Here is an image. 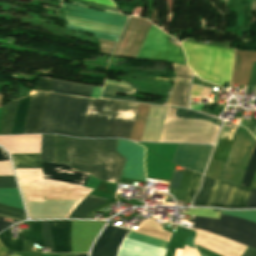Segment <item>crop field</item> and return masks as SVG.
Returning a JSON list of instances; mask_svg holds the SVG:
<instances>
[{
  "instance_id": "crop-field-38",
  "label": "crop field",
  "mask_w": 256,
  "mask_h": 256,
  "mask_svg": "<svg viewBox=\"0 0 256 256\" xmlns=\"http://www.w3.org/2000/svg\"><path fill=\"white\" fill-rule=\"evenodd\" d=\"M256 207V190L252 189L245 208Z\"/></svg>"
},
{
  "instance_id": "crop-field-42",
  "label": "crop field",
  "mask_w": 256,
  "mask_h": 256,
  "mask_svg": "<svg viewBox=\"0 0 256 256\" xmlns=\"http://www.w3.org/2000/svg\"><path fill=\"white\" fill-rule=\"evenodd\" d=\"M0 209L6 210V211H10V212H14V213H19V214H25L24 211L15 209L13 207H10V206L4 205V204H0Z\"/></svg>"
},
{
  "instance_id": "crop-field-21",
  "label": "crop field",
  "mask_w": 256,
  "mask_h": 256,
  "mask_svg": "<svg viewBox=\"0 0 256 256\" xmlns=\"http://www.w3.org/2000/svg\"><path fill=\"white\" fill-rule=\"evenodd\" d=\"M91 86L76 85L53 80L50 92L73 96L90 97Z\"/></svg>"
},
{
  "instance_id": "crop-field-34",
  "label": "crop field",
  "mask_w": 256,
  "mask_h": 256,
  "mask_svg": "<svg viewBox=\"0 0 256 256\" xmlns=\"http://www.w3.org/2000/svg\"><path fill=\"white\" fill-rule=\"evenodd\" d=\"M66 1L71 2V3H75V4H79V5H83V6H87V7H91V8H95V9L105 10V11L114 12V13L119 14L117 9L102 6V5H98V4H94V3H90V2H86V1H82V0H66Z\"/></svg>"
},
{
  "instance_id": "crop-field-45",
  "label": "crop field",
  "mask_w": 256,
  "mask_h": 256,
  "mask_svg": "<svg viewBox=\"0 0 256 256\" xmlns=\"http://www.w3.org/2000/svg\"><path fill=\"white\" fill-rule=\"evenodd\" d=\"M242 256H256V250L247 247L246 251L244 252V254Z\"/></svg>"
},
{
  "instance_id": "crop-field-56",
  "label": "crop field",
  "mask_w": 256,
  "mask_h": 256,
  "mask_svg": "<svg viewBox=\"0 0 256 256\" xmlns=\"http://www.w3.org/2000/svg\"><path fill=\"white\" fill-rule=\"evenodd\" d=\"M254 137H256V131H255V135H254Z\"/></svg>"
},
{
  "instance_id": "crop-field-9",
  "label": "crop field",
  "mask_w": 256,
  "mask_h": 256,
  "mask_svg": "<svg viewBox=\"0 0 256 256\" xmlns=\"http://www.w3.org/2000/svg\"><path fill=\"white\" fill-rule=\"evenodd\" d=\"M250 190L218 180L208 206L244 208Z\"/></svg>"
},
{
  "instance_id": "crop-field-55",
  "label": "crop field",
  "mask_w": 256,
  "mask_h": 256,
  "mask_svg": "<svg viewBox=\"0 0 256 256\" xmlns=\"http://www.w3.org/2000/svg\"><path fill=\"white\" fill-rule=\"evenodd\" d=\"M200 254V256H206V255H203V254H201V253H199Z\"/></svg>"
},
{
  "instance_id": "crop-field-19",
  "label": "crop field",
  "mask_w": 256,
  "mask_h": 256,
  "mask_svg": "<svg viewBox=\"0 0 256 256\" xmlns=\"http://www.w3.org/2000/svg\"><path fill=\"white\" fill-rule=\"evenodd\" d=\"M0 187H17L14 177L0 176ZM0 203L23 209L17 188H0Z\"/></svg>"
},
{
  "instance_id": "crop-field-22",
  "label": "crop field",
  "mask_w": 256,
  "mask_h": 256,
  "mask_svg": "<svg viewBox=\"0 0 256 256\" xmlns=\"http://www.w3.org/2000/svg\"><path fill=\"white\" fill-rule=\"evenodd\" d=\"M109 199L88 195L79 203L70 214L69 218H86L87 215Z\"/></svg>"
},
{
  "instance_id": "crop-field-11",
  "label": "crop field",
  "mask_w": 256,
  "mask_h": 256,
  "mask_svg": "<svg viewBox=\"0 0 256 256\" xmlns=\"http://www.w3.org/2000/svg\"><path fill=\"white\" fill-rule=\"evenodd\" d=\"M212 147L179 144L172 162L203 174Z\"/></svg>"
},
{
  "instance_id": "crop-field-5",
  "label": "crop field",
  "mask_w": 256,
  "mask_h": 256,
  "mask_svg": "<svg viewBox=\"0 0 256 256\" xmlns=\"http://www.w3.org/2000/svg\"><path fill=\"white\" fill-rule=\"evenodd\" d=\"M192 227L216 233L256 249V224L221 215L220 220L194 216Z\"/></svg>"
},
{
  "instance_id": "crop-field-39",
  "label": "crop field",
  "mask_w": 256,
  "mask_h": 256,
  "mask_svg": "<svg viewBox=\"0 0 256 256\" xmlns=\"http://www.w3.org/2000/svg\"><path fill=\"white\" fill-rule=\"evenodd\" d=\"M181 176H182L181 173H178V172L174 173L170 187L178 189Z\"/></svg>"
},
{
  "instance_id": "crop-field-3",
  "label": "crop field",
  "mask_w": 256,
  "mask_h": 256,
  "mask_svg": "<svg viewBox=\"0 0 256 256\" xmlns=\"http://www.w3.org/2000/svg\"><path fill=\"white\" fill-rule=\"evenodd\" d=\"M169 108L176 109V111L168 109L159 142L214 143L221 127L217 124H222L220 120L186 109ZM173 114L176 118L210 119L217 124L210 120L172 119Z\"/></svg>"
},
{
  "instance_id": "crop-field-35",
  "label": "crop field",
  "mask_w": 256,
  "mask_h": 256,
  "mask_svg": "<svg viewBox=\"0 0 256 256\" xmlns=\"http://www.w3.org/2000/svg\"><path fill=\"white\" fill-rule=\"evenodd\" d=\"M42 223H43V236H44L45 246L50 247L51 252H54L48 221H42Z\"/></svg>"
},
{
  "instance_id": "crop-field-13",
  "label": "crop field",
  "mask_w": 256,
  "mask_h": 256,
  "mask_svg": "<svg viewBox=\"0 0 256 256\" xmlns=\"http://www.w3.org/2000/svg\"><path fill=\"white\" fill-rule=\"evenodd\" d=\"M23 224H28V229H21L22 234H18V239L10 238L11 228L0 234L2 243L15 252L22 251L23 239L44 247L41 221L23 222Z\"/></svg>"
},
{
  "instance_id": "crop-field-44",
  "label": "crop field",
  "mask_w": 256,
  "mask_h": 256,
  "mask_svg": "<svg viewBox=\"0 0 256 256\" xmlns=\"http://www.w3.org/2000/svg\"><path fill=\"white\" fill-rule=\"evenodd\" d=\"M3 219H4V217H0V230H2L3 228H5L6 226H8V225H10V224H12V223L18 221V220L11 219V220H13V222H12V223H9V222L3 221ZM7 219H8V218H7Z\"/></svg>"
},
{
  "instance_id": "crop-field-1",
  "label": "crop field",
  "mask_w": 256,
  "mask_h": 256,
  "mask_svg": "<svg viewBox=\"0 0 256 256\" xmlns=\"http://www.w3.org/2000/svg\"><path fill=\"white\" fill-rule=\"evenodd\" d=\"M117 139H80L68 137L72 169L96 178L118 183L126 158L115 151Z\"/></svg>"
},
{
  "instance_id": "crop-field-12",
  "label": "crop field",
  "mask_w": 256,
  "mask_h": 256,
  "mask_svg": "<svg viewBox=\"0 0 256 256\" xmlns=\"http://www.w3.org/2000/svg\"><path fill=\"white\" fill-rule=\"evenodd\" d=\"M104 222L72 221V253L88 251L92 241L102 228Z\"/></svg>"
},
{
  "instance_id": "crop-field-28",
  "label": "crop field",
  "mask_w": 256,
  "mask_h": 256,
  "mask_svg": "<svg viewBox=\"0 0 256 256\" xmlns=\"http://www.w3.org/2000/svg\"><path fill=\"white\" fill-rule=\"evenodd\" d=\"M41 161L53 162V135H42Z\"/></svg>"
},
{
  "instance_id": "crop-field-37",
  "label": "crop field",
  "mask_w": 256,
  "mask_h": 256,
  "mask_svg": "<svg viewBox=\"0 0 256 256\" xmlns=\"http://www.w3.org/2000/svg\"><path fill=\"white\" fill-rule=\"evenodd\" d=\"M52 80L39 79L36 92L38 90L48 91L50 90Z\"/></svg>"
},
{
  "instance_id": "crop-field-2",
  "label": "crop field",
  "mask_w": 256,
  "mask_h": 256,
  "mask_svg": "<svg viewBox=\"0 0 256 256\" xmlns=\"http://www.w3.org/2000/svg\"><path fill=\"white\" fill-rule=\"evenodd\" d=\"M137 105L117 100L91 99L80 137L128 140Z\"/></svg>"
},
{
  "instance_id": "crop-field-52",
  "label": "crop field",
  "mask_w": 256,
  "mask_h": 256,
  "mask_svg": "<svg viewBox=\"0 0 256 256\" xmlns=\"http://www.w3.org/2000/svg\"><path fill=\"white\" fill-rule=\"evenodd\" d=\"M251 188H256V172H255V175H254V178H253V181L251 183Z\"/></svg>"
},
{
  "instance_id": "crop-field-47",
  "label": "crop field",
  "mask_w": 256,
  "mask_h": 256,
  "mask_svg": "<svg viewBox=\"0 0 256 256\" xmlns=\"http://www.w3.org/2000/svg\"><path fill=\"white\" fill-rule=\"evenodd\" d=\"M101 89H102V88L94 87L91 97L100 98Z\"/></svg>"
},
{
  "instance_id": "crop-field-4",
  "label": "crop field",
  "mask_w": 256,
  "mask_h": 256,
  "mask_svg": "<svg viewBox=\"0 0 256 256\" xmlns=\"http://www.w3.org/2000/svg\"><path fill=\"white\" fill-rule=\"evenodd\" d=\"M89 100L50 93L39 133L79 137Z\"/></svg>"
},
{
  "instance_id": "crop-field-48",
  "label": "crop field",
  "mask_w": 256,
  "mask_h": 256,
  "mask_svg": "<svg viewBox=\"0 0 256 256\" xmlns=\"http://www.w3.org/2000/svg\"><path fill=\"white\" fill-rule=\"evenodd\" d=\"M1 160H9L6 152L2 148H0V161Z\"/></svg>"
},
{
  "instance_id": "crop-field-23",
  "label": "crop field",
  "mask_w": 256,
  "mask_h": 256,
  "mask_svg": "<svg viewBox=\"0 0 256 256\" xmlns=\"http://www.w3.org/2000/svg\"><path fill=\"white\" fill-rule=\"evenodd\" d=\"M216 179L204 176L201 189L195 196L193 206H207L216 185Z\"/></svg>"
},
{
  "instance_id": "crop-field-15",
  "label": "crop field",
  "mask_w": 256,
  "mask_h": 256,
  "mask_svg": "<svg viewBox=\"0 0 256 256\" xmlns=\"http://www.w3.org/2000/svg\"><path fill=\"white\" fill-rule=\"evenodd\" d=\"M43 178L85 186L88 175L71 171L70 165L41 162Z\"/></svg>"
},
{
  "instance_id": "crop-field-10",
  "label": "crop field",
  "mask_w": 256,
  "mask_h": 256,
  "mask_svg": "<svg viewBox=\"0 0 256 256\" xmlns=\"http://www.w3.org/2000/svg\"><path fill=\"white\" fill-rule=\"evenodd\" d=\"M116 150L127 158L121 176L145 181L143 167L145 148L133 142L118 139Z\"/></svg>"
},
{
  "instance_id": "crop-field-24",
  "label": "crop field",
  "mask_w": 256,
  "mask_h": 256,
  "mask_svg": "<svg viewBox=\"0 0 256 256\" xmlns=\"http://www.w3.org/2000/svg\"><path fill=\"white\" fill-rule=\"evenodd\" d=\"M15 168H41L40 154L24 153L10 154Z\"/></svg>"
},
{
  "instance_id": "crop-field-14",
  "label": "crop field",
  "mask_w": 256,
  "mask_h": 256,
  "mask_svg": "<svg viewBox=\"0 0 256 256\" xmlns=\"http://www.w3.org/2000/svg\"><path fill=\"white\" fill-rule=\"evenodd\" d=\"M61 8L64 14H67V15L89 19L93 21H98V22H103L107 24L117 25L121 27L124 26L128 18L124 16L91 10L84 7L64 3V2H62Z\"/></svg>"
},
{
  "instance_id": "crop-field-50",
  "label": "crop field",
  "mask_w": 256,
  "mask_h": 256,
  "mask_svg": "<svg viewBox=\"0 0 256 256\" xmlns=\"http://www.w3.org/2000/svg\"><path fill=\"white\" fill-rule=\"evenodd\" d=\"M193 239L194 238H192V237H187V239H186V245H188V246H190V247H192V248H194V246H193ZM195 249V248H194Z\"/></svg>"
},
{
  "instance_id": "crop-field-18",
  "label": "crop field",
  "mask_w": 256,
  "mask_h": 256,
  "mask_svg": "<svg viewBox=\"0 0 256 256\" xmlns=\"http://www.w3.org/2000/svg\"><path fill=\"white\" fill-rule=\"evenodd\" d=\"M55 252H71V221H49Z\"/></svg>"
},
{
  "instance_id": "crop-field-46",
  "label": "crop field",
  "mask_w": 256,
  "mask_h": 256,
  "mask_svg": "<svg viewBox=\"0 0 256 256\" xmlns=\"http://www.w3.org/2000/svg\"><path fill=\"white\" fill-rule=\"evenodd\" d=\"M105 83L130 87L129 85H127V84H126L125 82H123V81L117 82V81H112V80L106 79Z\"/></svg>"
},
{
  "instance_id": "crop-field-49",
  "label": "crop field",
  "mask_w": 256,
  "mask_h": 256,
  "mask_svg": "<svg viewBox=\"0 0 256 256\" xmlns=\"http://www.w3.org/2000/svg\"><path fill=\"white\" fill-rule=\"evenodd\" d=\"M208 104H204V105H190V108L198 110L201 112V110L206 107Z\"/></svg>"
},
{
  "instance_id": "crop-field-40",
  "label": "crop field",
  "mask_w": 256,
  "mask_h": 256,
  "mask_svg": "<svg viewBox=\"0 0 256 256\" xmlns=\"http://www.w3.org/2000/svg\"><path fill=\"white\" fill-rule=\"evenodd\" d=\"M0 216L14 218V219H19V220L25 219V216H23V215L9 213V212H5V211H1V210H0Z\"/></svg>"
},
{
  "instance_id": "crop-field-17",
  "label": "crop field",
  "mask_w": 256,
  "mask_h": 256,
  "mask_svg": "<svg viewBox=\"0 0 256 256\" xmlns=\"http://www.w3.org/2000/svg\"><path fill=\"white\" fill-rule=\"evenodd\" d=\"M48 94L46 92L33 94L23 133L39 132Z\"/></svg>"
},
{
  "instance_id": "crop-field-36",
  "label": "crop field",
  "mask_w": 256,
  "mask_h": 256,
  "mask_svg": "<svg viewBox=\"0 0 256 256\" xmlns=\"http://www.w3.org/2000/svg\"><path fill=\"white\" fill-rule=\"evenodd\" d=\"M66 27L70 28V29H74V30H78V31L93 34L94 36H96L97 38H100V39H105V40L114 41V42H116L117 39H118L117 36H112V35L98 33V32L89 31V30H82V29H78V28H74V27H70V26H66Z\"/></svg>"
},
{
  "instance_id": "crop-field-8",
  "label": "crop field",
  "mask_w": 256,
  "mask_h": 256,
  "mask_svg": "<svg viewBox=\"0 0 256 256\" xmlns=\"http://www.w3.org/2000/svg\"><path fill=\"white\" fill-rule=\"evenodd\" d=\"M128 231L107 225L103 233L97 239L91 256H115ZM127 238L155 245L167 249L168 242L157 240L141 234L129 231Z\"/></svg>"
},
{
  "instance_id": "crop-field-30",
  "label": "crop field",
  "mask_w": 256,
  "mask_h": 256,
  "mask_svg": "<svg viewBox=\"0 0 256 256\" xmlns=\"http://www.w3.org/2000/svg\"><path fill=\"white\" fill-rule=\"evenodd\" d=\"M255 170H256V145L253 150L250 162L248 164V167L241 185L247 186V187L250 186Z\"/></svg>"
},
{
  "instance_id": "crop-field-29",
  "label": "crop field",
  "mask_w": 256,
  "mask_h": 256,
  "mask_svg": "<svg viewBox=\"0 0 256 256\" xmlns=\"http://www.w3.org/2000/svg\"><path fill=\"white\" fill-rule=\"evenodd\" d=\"M18 101L12 102L9 105V109L7 112L3 130H2V135H7V134H10V132H11L14 116L16 113L17 105H18Z\"/></svg>"
},
{
  "instance_id": "crop-field-26",
  "label": "crop field",
  "mask_w": 256,
  "mask_h": 256,
  "mask_svg": "<svg viewBox=\"0 0 256 256\" xmlns=\"http://www.w3.org/2000/svg\"><path fill=\"white\" fill-rule=\"evenodd\" d=\"M31 96L23 98L19 101V105H18V109H17V113H16V117H15V121H14V125H13L11 134L22 133L26 115H27V111H28V107H29V103L31 100Z\"/></svg>"
},
{
  "instance_id": "crop-field-33",
  "label": "crop field",
  "mask_w": 256,
  "mask_h": 256,
  "mask_svg": "<svg viewBox=\"0 0 256 256\" xmlns=\"http://www.w3.org/2000/svg\"><path fill=\"white\" fill-rule=\"evenodd\" d=\"M201 179H202L201 174H197V173L193 172L189 192H188V195H187V198H186L185 202H188V203L191 202L192 197L194 196L195 192L198 189V186L200 184Z\"/></svg>"
},
{
  "instance_id": "crop-field-16",
  "label": "crop field",
  "mask_w": 256,
  "mask_h": 256,
  "mask_svg": "<svg viewBox=\"0 0 256 256\" xmlns=\"http://www.w3.org/2000/svg\"><path fill=\"white\" fill-rule=\"evenodd\" d=\"M173 65L176 71L177 81L167 105L186 107L190 77L194 74L186 66Z\"/></svg>"
},
{
  "instance_id": "crop-field-43",
  "label": "crop field",
  "mask_w": 256,
  "mask_h": 256,
  "mask_svg": "<svg viewBox=\"0 0 256 256\" xmlns=\"http://www.w3.org/2000/svg\"><path fill=\"white\" fill-rule=\"evenodd\" d=\"M98 182H99L98 180H96V179H94L92 177H89L85 187L91 188V189H95L97 184H98Z\"/></svg>"
},
{
  "instance_id": "crop-field-32",
  "label": "crop field",
  "mask_w": 256,
  "mask_h": 256,
  "mask_svg": "<svg viewBox=\"0 0 256 256\" xmlns=\"http://www.w3.org/2000/svg\"><path fill=\"white\" fill-rule=\"evenodd\" d=\"M221 214L238 216L245 220L256 223V211H225V210H222Z\"/></svg>"
},
{
  "instance_id": "crop-field-31",
  "label": "crop field",
  "mask_w": 256,
  "mask_h": 256,
  "mask_svg": "<svg viewBox=\"0 0 256 256\" xmlns=\"http://www.w3.org/2000/svg\"><path fill=\"white\" fill-rule=\"evenodd\" d=\"M220 212H221V210H215V209H189V211H184V214L219 219Z\"/></svg>"
},
{
  "instance_id": "crop-field-6",
  "label": "crop field",
  "mask_w": 256,
  "mask_h": 256,
  "mask_svg": "<svg viewBox=\"0 0 256 256\" xmlns=\"http://www.w3.org/2000/svg\"><path fill=\"white\" fill-rule=\"evenodd\" d=\"M255 140L244 128H239L220 180L241 184Z\"/></svg>"
},
{
  "instance_id": "crop-field-27",
  "label": "crop field",
  "mask_w": 256,
  "mask_h": 256,
  "mask_svg": "<svg viewBox=\"0 0 256 256\" xmlns=\"http://www.w3.org/2000/svg\"><path fill=\"white\" fill-rule=\"evenodd\" d=\"M66 141L67 137L54 135V162L70 164Z\"/></svg>"
},
{
  "instance_id": "crop-field-53",
  "label": "crop field",
  "mask_w": 256,
  "mask_h": 256,
  "mask_svg": "<svg viewBox=\"0 0 256 256\" xmlns=\"http://www.w3.org/2000/svg\"><path fill=\"white\" fill-rule=\"evenodd\" d=\"M11 253H14V252L8 250L3 256H9Z\"/></svg>"
},
{
  "instance_id": "crop-field-7",
  "label": "crop field",
  "mask_w": 256,
  "mask_h": 256,
  "mask_svg": "<svg viewBox=\"0 0 256 256\" xmlns=\"http://www.w3.org/2000/svg\"><path fill=\"white\" fill-rule=\"evenodd\" d=\"M170 38L154 25H151L136 58L184 64V56L180 48L169 42Z\"/></svg>"
},
{
  "instance_id": "crop-field-41",
  "label": "crop field",
  "mask_w": 256,
  "mask_h": 256,
  "mask_svg": "<svg viewBox=\"0 0 256 256\" xmlns=\"http://www.w3.org/2000/svg\"><path fill=\"white\" fill-rule=\"evenodd\" d=\"M248 85H256V62L253 64L250 80Z\"/></svg>"
},
{
  "instance_id": "crop-field-25",
  "label": "crop field",
  "mask_w": 256,
  "mask_h": 256,
  "mask_svg": "<svg viewBox=\"0 0 256 256\" xmlns=\"http://www.w3.org/2000/svg\"><path fill=\"white\" fill-rule=\"evenodd\" d=\"M115 92L133 95V93L135 92V89L105 84V88H104L101 98L137 101L132 98L114 96ZM137 102H141V101H137ZM142 103L165 105L166 102L154 101V102H142Z\"/></svg>"
},
{
  "instance_id": "crop-field-54",
  "label": "crop field",
  "mask_w": 256,
  "mask_h": 256,
  "mask_svg": "<svg viewBox=\"0 0 256 256\" xmlns=\"http://www.w3.org/2000/svg\"><path fill=\"white\" fill-rule=\"evenodd\" d=\"M78 256H87V254H78Z\"/></svg>"
},
{
  "instance_id": "crop-field-20",
  "label": "crop field",
  "mask_w": 256,
  "mask_h": 256,
  "mask_svg": "<svg viewBox=\"0 0 256 256\" xmlns=\"http://www.w3.org/2000/svg\"><path fill=\"white\" fill-rule=\"evenodd\" d=\"M65 16L67 18L69 25L84 28V29L94 30V31L108 33V34L117 35V36L120 35L123 29L117 26L79 19V18L67 16V15Z\"/></svg>"
},
{
  "instance_id": "crop-field-51",
  "label": "crop field",
  "mask_w": 256,
  "mask_h": 256,
  "mask_svg": "<svg viewBox=\"0 0 256 256\" xmlns=\"http://www.w3.org/2000/svg\"><path fill=\"white\" fill-rule=\"evenodd\" d=\"M6 251H7V249L0 242V256H2Z\"/></svg>"
}]
</instances>
